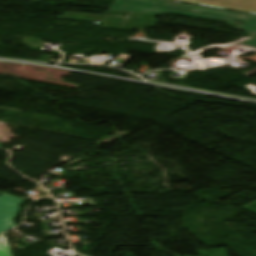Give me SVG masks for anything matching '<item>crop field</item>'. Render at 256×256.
<instances>
[{
  "label": "crop field",
  "mask_w": 256,
  "mask_h": 256,
  "mask_svg": "<svg viewBox=\"0 0 256 256\" xmlns=\"http://www.w3.org/2000/svg\"><path fill=\"white\" fill-rule=\"evenodd\" d=\"M108 9L152 14L172 13L225 22L241 20L245 21V23L236 28L256 33V15L250 14L198 7L163 0H114Z\"/></svg>",
  "instance_id": "8a807250"
},
{
  "label": "crop field",
  "mask_w": 256,
  "mask_h": 256,
  "mask_svg": "<svg viewBox=\"0 0 256 256\" xmlns=\"http://www.w3.org/2000/svg\"><path fill=\"white\" fill-rule=\"evenodd\" d=\"M22 202L16 197L0 193V233L15 227L13 219L18 211V205Z\"/></svg>",
  "instance_id": "ac0d7876"
},
{
  "label": "crop field",
  "mask_w": 256,
  "mask_h": 256,
  "mask_svg": "<svg viewBox=\"0 0 256 256\" xmlns=\"http://www.w3.org/2000/svg\"><path fill=\"white\" fill-rule=\"evenodd\" d=\"M155 16L151 14L129 13L124 28L145 30L146 28L138 26L154 27L157 21Z\"/></svg>",
  "instance_id": "34b2d1b8"
},
{
  "label": "crop field",
  "mask_w": 256,
  "mask_h": 256,
  "mask_svg": "<svg viewBox=\"0 0 256 256\" xmlns=\"http://www.w3.org/2000/svg\"><path fill=\"white\" fill-rule=\"evenodd\" d=\"M0 256H12L5 234L0 236Z\"/></svg>",
  "instance_id": "412701ff"
},
{
  "label": "crop field",
  "mask_w": 256,
  "mask_h": 256,
  "mask_svg": "<svg viewBox=\"0 0 256 256\" xmlns=\"http://www.w3.org/2000/svg\"><path fill=\"white\" fill-rule=\"evenodd\" d=\"M239 45L256 49V38L251 39V40H248V41H245V42H243V43H241V44H239Z\"/></svg>",
  "instance_id": "f4fd0767"
},
{
  "label": "crop field",
  "mask_w": 256,
  "mask_h": 256,
  "mask_svg": "<svg viewBox=\"0 0 256 256\" xmlns=\"http://www.w3.org/2000/svg\"><path fill=\"white\" fill-rule=\"evenodd\" d=\"M3 146V144H0V147H2Z\"/></svg>",
  "instance_id": "dd49c442"
}]
</instances>
